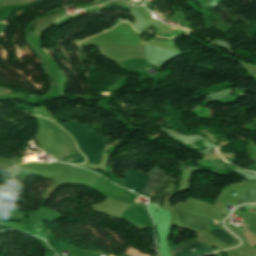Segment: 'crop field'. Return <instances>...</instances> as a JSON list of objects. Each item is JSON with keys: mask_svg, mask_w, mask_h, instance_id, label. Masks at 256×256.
I'll return each instance as SVG.
<instances>
[{"mask_svg": "<svg viewBox=\"0 0 256 256\" xmlns=\"http://www.w3.org/2000/svg\"><path fill=\"white\" fill-rule=\"evenodd\" d=\"M60 125V124H58ZM67 130L75 139L79 151H81L86 158L88 157L90 146L95 138L96 132L92 131L88 126L81 127L80 124L73 121L64 125H60ZM108 138L96 135V138L91 146L88 163L99 165L100 158Z\"/></svg>", "mask_w": 256, "mask_h": 256, "instance_id": "8a807250", "label": "crop field"}, {"mask_svg": "<svg viewBox=\"0 0 256 256\" xmlns=\"http://www.w3.org/2000/svg\"><path fill=\"white\" fill-rule=\"evenodd\" d=\"M151 172L152 176L149 179V177H147L146 175L140 172H136L133 169L126 171V186L138 192H142L144 185L149 179L143 190V193L149 195L152 192L151 190L158 188L165 178L164 173L156 167H154Z\"/></svg>", "mask_w": 256, "mask_h": 256, "instance_id": "ac0d7876", "label": "crop field"}, {"mask_svg": "<svg viewBox=\"0 0 256 256\" xmlns=\"http://www.w3.org/2000/svg\"><path fill=\"white\" fill-rule=\"evenodd\" d=\"M134 225H136L141 230L153 226L152 222L149 220L144 210L140 206L131 205L121 216Z\"/></svg>", "mask_w": 256, "mask_h": 256, "instance_id": "34b2d1b8", "label": "crop field"}, {"mask_svg": "<svg viewBox=\"0 0 256 256\" xmlns=\"http://www.w3.org/2000/svg\"><path fill=\"white\" fill-rule=\"evenodd\" d=\"M175 209L179 219L184 225L188 227L196 228V229L207 230L206 218L196 216L185 211L181 205L175 206ZM218 224L219 222H217V225Z\"/></svg>", "mask_w": 256, "mask_h": 256, "instance_id": "412701ff", "label": "crop field"}, {"mask_svg": "<svg viewBox=\"0 0 256 256\" xmlns=\"http://www.w3.org/2000/svg\"><path fill=\"white\" fill-rule=\"evenodd\" d=\"M195 246L199 251L211 253L213 250L210 247L204 246L195 240H187L181 243L178 247L171 250L174 256H200L202 253L193 254L188 248Z\"/></svg>", "mask_w": 256, "mask_h": 256, "instance_id": "f4fd0767", "label": "crop field"}, {"mask_svg": "<svg viewBox=\"0 0 256 256\" xmlns=\"http://www.w3.org/2000/svg\"><path fill=\"white\" fill-rule=\"evenodd\" d=\"M176 183V180L167 177L165 183L161 185L158 190H156L159 192V194L151 195L150 203L162 208L166 197L169 196L174 191Z\"/></svg>", "mask_w": 256, "mask_h": 256, "instance_id": "dd49c442", "label": "crop field"}, {"mask_svg": "<svg viewBox=\"0 0 256 256\" xmlns=\"http://www.w3.org/2000/svg\"><path fill=\"white\" fill-rule=\"evenodd\" d=\"M256 202V189L247 190L235 203L236 206L243 203Z\"/></svg>", "mask_w": 256, "mask_h": 256, "instance_id": "e52e79f7", "label": "crop field"}, {"mask_svg": "<svg viewBox=\"0 0 256 256\" xmlns=\"http://www.w3.org/2000/svg\"><path fill=\"white\" fill-rule=\"evenodd\" d=\"M119 64L122 65L124 68H127V69L148 68L147 61L138 60V59L127 60V61L121 62Z\"/></svg>", "mask_w": 256, "mask_h": 256, "instance_id": "d8731c3e", "label": "crop field"}, {"mask_svg": "<svg viewBox=\"0 0 256 256\" xmlns=\"http://www.w3.org/2000/svg\"><path fill=\"white\" fill-rule=\"evenodd\" d=\"M27 5H30V4H27ZM27 5L0 7V22H3L8 17V15L10 14L9 11L19 7L27 6Z\"/></svg>", "mask_w": 256, "mask_h": 256, "instance_id": "5a996713", "label": "crop field"}, {"mask_svg": "<svg viewBox=\"0 0 256 256\" xmlns=\"http://www.w3.org/2000/svg\"><path fill=\"white\" fill-rule=\"evenodd\" d=\"M68 162L74 163V164H82L85 162V158L81 153L76 154L74 156H70L67 159H65Z\"/></svg>", "mask_w": 256, "mask_h": 256, "instance_id": "3316defc", "label": "crop field"}, {"mask_svg": "<svg viewBox=\"0 0 256 256\" xmlns=\"http://www.w3.org/2000/svg\"><path fill=\"white\" fill-rule=\"evenodd\" d=\"M6 23H0V34L3 32Z\"/></svg>", "mask_w": 256, "mask_h": 256, "instance_id": "28ad6ade", "label": "crop field"}]
</instances>
